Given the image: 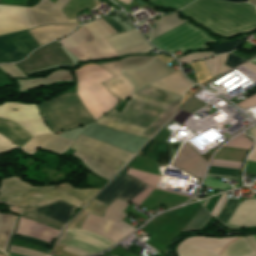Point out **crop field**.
<instances>
[{
	"label": "crop field",
	"mask_w": 256,
	"mask_h": 256,
	"mask_svg": "<svg viewBox=\"0 0 256 256\" xmlns=\"http://www.w3.org/2000/svg\"><path fill=\"white\" fill-rule=\"evenodd\" d=\"M78 79L77 93L95 118L113 108L119 100L100 83L113 77L98 66H88L75 72ZM77 93H68L36 105L52 131L70 129L94 121Z\"/></svg>",
	"instance_id": "crop-field-1"
},
{
	"label": "crop field",
	"mask_w": 256,
	"mask_h": 256,
	"mask_svg": "<svg viewBox=\"0 0 256 256\" xmlns=\"http://www.w3.org/2000/svg\"><path fill=\"white\" fill-rule=\"evenodd\" d=\"M180 11L213 31L227 36L256 29V9L249 4L196 0Z\"/></svg>",
	"instance_id": "crop-field-2"
},
{
	"label": "crop field",
	"mask_w": 256,
	"mask_h": 256,
	"mask_svg": "<svg viewBox=\"0 0 256 256\" xmlns=\"http://www.w3.org/2000/svg\"><path fill=\"white\" fill-rule=\"evenodd\" d=\"M198 203V202H197ZM192 204L187 207H182L178 208L173 211L166 212L162 215L157 216L154 218L152 221H150L145 227H143L141 230L147 232L151 236L157 232L163 225H165L172 217H174L180 210V211L174 218H172L165 226H163L157 233H155L146 243L154 246L158 250L161 248L162 244L164 241L168 238L169 235L172 234L174 230L177 229V227L180 225V223L183 221V219L188 215V213L195 207L197 204ZM200 204L198 203L196 207L189 213V215L185 218V220L182 222V224L179 226V228L173 232L171 236L165 241L163 244L162 249L164 246L167 244L170 238L180 229V227L185 223V221L191 216V214L197 209V207ZM202 206L200 205L198 209L192 214V216L187 220V222L182 226V228L173 236L172 239L168 242L166 247L163 250L164 251L167 249L169 246L170 242L177 236L178 233L182 231V229L185 227V225L188 223V221L193 217V215L201 208ZM211 217V215L202 207L195 215L194 217L190 220V222L187 224V226L184 228L183 231H189V230H195V229H200L205 222Z\"/></svg>",
	"instance_id": "crop-field-3"
},
{
	"label": "crop field",
	"mask_w": 256,
	"mask_h": 256,
	"mask_svg": "<svg viewBox=\"0 0 256 256\" xmlns=\"http://www.w3.org/2000/svg\"><path fill=\"white\" fill-rule=\"evenodd\" d=\"M55 200H62L77 207L83 203L61 190L34 187L15 176L0 180V204L18 207L39 206Z\"/></svg>",
	"instance_id": "crop-field-4"
},
{
	"label": "crop field",
	"mask_w": 256,
	"mask_h": 256,
	"mask_svg": "<svg viewBox=\"0 0 256 256\" xmlns=\"http://www.w3.org/2000/svg\"><path fill=\"white\" fill-rule=\"evenodd\" d=\"M109 35L99 22L95 20L89 24L82 25L76 32L59 42L80 61L107 58L117 56L103 38Z\"/></svg>",
	"instance_id": "crop-field-5"
},
{
	"label": "crop field",
	"mask_w": 256,
	"mask_h": 256,
	"mask_svg": "<svg viewBox=\"0 0 256 256\" xmlns=\"http://www.w3.org/2000/svg\"><path fill=\"white\" fill-rule=\"evenodd\" d=\"M181 99L168 104L164 109L130 99L119 114L113 110L107 118L146 128L142 136L150 138L175 112Z\"/></svg>",
	"instance_id": "crop-field-6"
},
{
	"label": "crop field",
	"mask_w": 256,
	"mask_h": 256,
	"mask_svg": "<svg viewBox=\"0 0 256 256\" xmlns=\"http://www.w3.org/2000/svg\"><path fill=\"white\" fill-rule=\"evenodd\" d=\"M129 202L116 200L105 211L103 218L89 213L81 229L105 237L113 242H118L135 228L120 221L127 215L122 211Z\"/></svg>",
	"instance_id": "crop-field-7"
},
{
	"label": "crop field",
	"mask_w": 256,
	"mask_h": 256,
	"mask_svg": "<svg viewBox=\"0 0 256 256\" xmlns=\"http://www.w3.org/2000/svg\"><path fill=\"white\" fill-rule=\"evenodd\" d=\"M150 42L169 53H174L179 49L184 52L208 48L206 43L214 42V40L190 24L184 23Z\"/></svg>",
	"instance_id": "crop-field-8"
},
{
	"label": "crop field",
	"mask_w": 256,
	"mask_h": 256,
	"mask_svg": "<svg viewBox=\"0 0 256 256\" xmlns=\"http://www.w3.org/2000/svg\"><path fill=\"white\" fill-rule=\"evenodd\" d=\"M8 108L18 110L11 111ZM0 118L16 122L32 136L49 132L35 105L3 104L0 107Z\"/></svg>",
	"instance_id": "crop-field-9"
},
{
	"label": "crop field",
	"mask_w": 256,
	"mask_h": 256,
	"mask_svg": "<svg viewBox=\"0 0 256 256\" xmlns=\"http://www.w3.org/2000/svg\"><path fill=\"white\" fill-rule=\"evenodd\" d=\"M62 64L71 65V61L56 41L37 49L25 60L17 63L22 72L26 74Z\"/></svg>",
	"instance_id": "crop-field-10"
},
{
	"label": "crop field",
	"mask_w": 256,
	"mask_h": 256,
	"mask_svg": "<svg viewBox=\"0 0 256 256\" xmlns=\"http://www.w3.org/2000/svg\"><path fill=\"white\" fill-rule=\"evenodd\" d=\"M38 47L27 31L0 37V63L18 62Z\"/></svg>",
	"instance_id": "crop-field-11"
},
{
	"label": "crop field",
	"mask_w": 256,
	"mask_h": 256,
	"mask_svg": "<svg viewBox=\"0 0 256 256\" xmlns=\"http://www.w3.org/2000/svg\"><path fill=\"white\" fill-rule=\"evenodd\" d=\"M147 187L149 186L137 178L119 173L116 178L99 193L97 199L108 205L118 197L131 200Z\"/></svg>",
	"instance_id": "crop-field-12"
},
{
	"label": "crop field",
	"mask_w": 256,
	"mask_h": 256,
	"mask_svg": "<svg viewBox=\"0 0 256 256\" xmlns=\"http://www.w3.org/2000/svg\"><path fill=\"white\" fill-rule=\"evenodd\" d=\"M70 0H48L41 2L27 10V17L33 28L49 23H77L76 19L68 20L61 11Z\"/></svg>",
	"instance_id": "crop-field-13"
},
{
	"label": "crop field",
	"mask_w": 256,
	"mask_h": 256,
	"mask_svg": "<svg viewBox=\"0 0 256 256\" xmlns=\"http://www.w3.org/2000/svg\"><path fill=\"white\" fill-rule=\"evenodd\" d=\"M113 244L100 236L76 229H65L56 242V245L77 247L90 254L103 251Z\"/></svg>",
	"instance_id": "crop-field-14"
},
{
	"label": "crop field",
	"mask_w": 256,
	"mask_h": 256,
	"mask_svg": "<svg viewBox=\"0 0 256 256\" xmlns=\"http://www.w3.org/2000/svg\"><path fill=\"white\" fill-rule=\"evenodd\" d=\"M236 237L229 238H205L200 236H193L181 242V244H185L191 247H195L201 250H205L211 253L220 254L222 248L231 240ZM179 244L177 247L178 256H218L208 252H204L198 249H194L188 246H184ZM224 249V248H223Z\"/></svg>",
	"instance_id": "crop-field-15"
},
{
	"label": "crop field",
	"mask_w": 256,
	"mask_h": 256,
	"mask_svg": "<svg viewBox=\"0 0 256 256\" xmlns=\"http://www.w3.org/2000/svg\"><path fill=\"white\" fill-rule=\"evenodd\" d=\"M105 39L119 56L132 53H148L153 49L139 35L136 29L112 35Z\"/></svg>",
	"instance_id": "crop-field-16"
},
{
	"label": "crop field",
	"mask_w": 256,
	"mask_h": 256,
	"mask_svg": "<svg viewBox=\"0 0 256 256\" xmlns=\"http://www.w3.org/2000/svg\"><path fill=\"white\" fill-rule=\"evenodd\" d=\"M122 72L132 81L138 91L148 83L172 73L174 70L155 57L149 65L143 68Z\"/></svg>",
	"instance_id": "crop-field-17"
},
{
	"label": "crop field",
	"mask_w": 256,
	"mask_h": 256,
	"mask_svg": "<svg viewBox=\"0 0 256 256\" xmlns=\"http://www.w3.org/2000/svg\"><path fill=\"white\" fill-rule=\"evenodd\" d=\"M98 65L115 76L114 78L102 83L114 97L124 100L133 94V84L120 72V70H123L120 61L101 63Z\"/></svg>",
	"instance_id": "crop-field-18"
},
{
	"label": "crop field",
	"mask_w": 256,
	"mask_h": 256,
	"mask_svg": "<svg viewBox=\"0 0 256 256\" xmlns=\"http://www.w3.org/2000/svg\"><path fill=\"white\" fill-rule=\"evenodd\" d=\"M26 7L0 5V35L31 29Z\"/></svg>",
	"instance_id": "crop-field-19"
},
{
	"label": "crop field",
	"mask_w": 256,
	"mask_h": 256,
	"mask_svg": "<svg viewBox=\"0 0 256 256\" xmlns=\"http://www.w3.org/2000/svg\"><path fill=\"white\" fill-rule=\"evenodd\" d=\"M73 143L69 139L62 138L51 132L32 137L20 150L33 153L38 148L63 153Z\"/></svg>",
	"instance_id": "crop-field-20"
},
{
	"label": "crop field",
	"mask_w": 256,
	"mask_h": 256,
	"mask_svg": "<svg viewBox=\"0 0 256 256\" xmlns=\"http://www.w3.org/2000/svg\"><path fill=\"white\" fill-rule=\"evenodd\" d=\"M59 231L50 227L44 226L40 223L30 221L25 218H19L16 233L18 235L33 236L35 238L44 240L48 243L57 235Z\"/></svg>",
	"instance_id": "crop-field-21"
},
{
	"label": "crop field",
	"mask_w": 256,
	"mask_h": 256,
	"mask_svg": "<svg viewBox=\"0 0 256 256\" xmlns=\"http://www.w3.org/2000/svg\"><path fill=\"white\" fill-rule=\"evenodd\" d=\"M16 218H17V216H13V215H9V214H0V246L5 250H7L13 230L15 228ZM17 220H18V218H17ZM12 238L36 243L37 245H39L40 247L45 248V249H48V245H49L45 242L27 238V237H23V236L13 235Z\"/></svg>",
	"instance_id": "crop-field-22"
},
{
	"label": "crop field",
	"mask_w": 256,
	"mask_h": 256,
	"mask_svg": "<svg viewBox=\"0 0 256 256\" xmlns=\"http://www.w3.org/2000/svg\"><path fill=\"white\" fill-rule=\"evenodd\" d=\"M149 85L183 97L184 93L193 85L180 72L169 74Z\"/></svg>",
	"instance_id": "crop-field-23"
},
{
	"label": "crop field",
	"mask_w": 256,
	"mask_h": 256,
	"mask_svg": "<svg viewBox=\"0 0 256 256\" xmlns=\"http://www.w3.org/2000/svg\"><path fill=\"white\" fill-rule=\"evenodd\" d=\"M229 224L242 228L256 226V200H244L233 213Z\"/></svg>",
	"instance_id": "crop-field-24"
},
{
	"label": "crop field",
	"mask_w": 256,
	"mask_h": 256,
	"mask_svg": "<svg viewBox=\"0 0 256 256\" xmlns=\"http://www.w3.org/2000/svg\"><path fill=\"white\" fill-rule=\"evenodd\" d=\"M78 25H51L45 26L28 32L38 42L40 46L58 39L70 31H72Z\"/></svg>",
	"instance_id": "crop-field-25"
},
{
	"label": "crop field",
	"mask_w": 256,
	"mask_h": 256,
	"mask_svg": "<svg viewBox=\"0 0 256 256\" xmlns=\"http://www.w3.org/2000/svg\"><path fill=\"white\" fill-rule=\"evenodd\" d=\"M74 209L61 201H56L46 206L36 207L34 212L66 223Z\"/></svg>",
	"instance_id": "crop-field-26"
},
{
	"label": "crop field",
	"mask_w": 256,
	"mask_h": 256,
	"mask_svg": "<svg viewBox=\"0 0 256 256\" xmlns=\"http://www.w3.org/2000/svg\"><path fill=\"white\" fill-rule=\"evenodd\" d=\"M0 133L20 148L32 137L17 124L2 119H0Z\"/></svg>",
	"instance_id": "crop-field-27"
},
{
	"label": "crop field",
	"mask_w": 256,
	"mask_h": 256,
	"mask_svg": "<svg viewBox=\"0 0 256 256\" xmlns=\"http://www.w3.org/2000/svg\"><path fill=\"white\" fill-rule=\"evenodd\" d=\"M76 142L87 145V146H89L91 148H94L96 150L102 151V152H104V153H106V154L124 162V163H126L129 160V158L132 156V154L123 152V151H121L119 149H116L112 146H109L107 144L95 141L93 139H90V138L82 136V135H80L78 137Z\"/></svg>",
	"instance_id": "crop-field-28"
},
{
	"label": "crop field",
	"mask_w": 256,
	"mask_h": 256,
	"mask_svg": "<svg viewBox=\"0 0 256 256\" xmlns=\"http://www.w3.org/2000/svg\"><path fill=\"white\" fill-rule=\"evenodd\" d=\"M144 158L152 160L161 166L169 164V144L153 140Z\"/></svg>",
	"instance_id": "crop-field-29"
},
{
	"label": "crop field",
	"mask_w": 256,
	"mask_h": 256,
	"mask_svg": "<svg viewBox=\"0 0 256 256\" xmlns=\"http://www.w3.org/2000/svg\"><path fill=\"white\" fill-rule=\"evenodd\" d=\"M63 80H73L72 75L68 71H56L51 73L45 79H35L30 81H17L20 86V91L27 90L33 87L41 86L48 83L63 81Z\"/></svg>",
	"instance_id": "crop-field-30"
},
{
	"label": "crop field",
	"mask_w": 256,
	"mask_h": 256,
	"mask_svg": "<svg viewBox=\"0 0 256 256\" xmlns=\"http://www.w3.org/2000/svg\"><path fill=\"white\" fill-rule=\"evenodd\" d=\"M71 148L93 158V159H96L112 168H115V169H119L120 167H122L124 165V163L114 159V158H111L101 152H98L94 149H91V148H88V147H85L81 144H78L76 142L73 143V145L71 146Z\"/></svg>",
	"instance_id": "crop-field-31"
},
{
	"label": "crop field",
	"mask_w": 256,
	"mask_h": 256,
	"mask_svg": "<svg viewBox=\"0 0 256 256\" xmlns=\"http://www.w3.org/2000/svg\"><path fill=\"white\" fill-rule=\"evenodd\" d=\"M225 196H226V194H222L221 195L220 199L218 200L217 204L215 205V207L213 208V210L211 212V214L213 216H216V218H217V216L219 215L220 211L222 210V208L224 207L225 203L228 200V199H225ZM207 201H208V199L205 200L202 203V205L204 206ZM237 203H238L237 200L229 199L217 219L226 223L227 219L231 215V213L234 210V208L236 207Z\"/></svg>",
	"instance_id": "crop-field-32"
},
{
	"label": "crop field",
	"mask_w": 256,
	"mask_h": 256,
	"mask_svg": "<svg viewBox=\"0 0 256 256\" xmlns=\"http://www.w3.org/2000/svg\"><path fill=\"white\" fill-rule=\"evenodd\" d=\"M253 254H256L255 251L245 237H243L230 243L222 256H250Z\"/></svg>",
	"instance_id": "crop-field-33"
},
{
	"label": "crop field",
	"mask_w": 256,
	"mask_h": 256,
	"mask_svg": "<svg viewBox=\"0 0 256 256\" xmlns=\"http://www.w3.org/2000/svg\"><path fill=\"white\" fill-rule=\"evenodd\" d=\"M159 18L161 19L157 21V27L152 30L149 41L185 22L178 20L176 13Z\"/></svg>",
	"instance_id": "crop-field-34"
},
{
	"label": "crop field",
	"mask_w": 256,
	"mask_h": 256,
	"mask_svg": "<svg viewBox=\"0 0 256 256\" xmlns=\"http://www.w3.org/2000/svg\"><path fill=\"white\" fill-rule=\"evenodd\" d=\"M73 155L77 156L78 158H80L84 165L86 167H88L91 171H93L95 174L109 180L112 175L116 172V170L110 168V167H107L101 163H98L84 155H82L81 153L79 152H75Z\"/></svg>",
	"instance_id": "crop-field-35"
},
{
	"label": "crop field",
	"mask_w": 256,
	"mask_h": 256,
	"mask_svg": "<svg viewBox=\"0 0 256 256\" xmlns=\"http://www.w3.org/2000/svg\"><path fill=\"white\" fill-rule=\"evenodd\" d=\"M242 163L228 162L213 159L211 165L241 169ZM210 166L207 173L221 175H238L240 170Z\"/></svg>",
	"instance_id": "crop-field-36"
},
{
	"label": "crop field",
	"mask_w": 256,
	"mask_h": 256,
	"mask_svg": "<svg viewBox=\"0 0 256 256\" xmlns=\"http://www.w3.org/2000/svg\"><path fill=\"white\" fill-rule=\"evenodd\" d=\"M34 208L35 207L19 208L20 215L24 216L26 218L35 220V221H39V222L45 223V224H47V225H49L51 227H54V228H57V229H60V230L62 229L64 224L32 212Z\"/></svg>",
	"instance_id": "crop-field-37"
},
{
	"label": "crop field",
	"mask_w": 256,
	"mask_h": 256,
	"mask_svg": "<svg viewBox=\"0 0 256 256\" xmlns=\"http://www.w3.org/2000/svg\"><path fill=\"white\" fill-rule=\"evenodd\" d=\"M95 123H99V124H102L106 127L116 129V130H120V131H124V132H128V133H132V134H135V135H138V136H140V134L144 130L143 128L127 125V124H124V123H119V122L112 121L110 119H106V118H103V117L100 118Z\"/></svg>",
	"instance_id": "crop-field-38"
},
{
	"label": "crop field",
	"mask_w": 256,
	"mask_h": 256,
	"mask_svg": "<svg viewBox=\"0 0 256 256\" xmlns=\"http://www.w3.org/2000/svg\"><path fill=\"white\" fill-rule=\"evenodd\" d=\"M227 56H228V54L213 57V58H210V59L204 61L212 77L231 69L224 65V63L227 59Z\"/></svg>",
	"instance_id": "crop-field-39"
},
{
	"label": "crop field",
	"mask_w": 256,
	"mask_h": 256,
	"mask_svg": "<svg viewBox=\"0 0 256 256\" xmlns=\"http://www.w3.org/2000/svg\"><path fill=\"white\" fill-rule=\"evenodd\" d=\"M136 94L156 98V99H159V100L167 102V103H170L172 101H175V100L181 98V97L158 90V89L150 87V86L143 88L142 90L138 91Z\"/></svg>",
	"instance_id": "crop-field-40"
},
{
	"label": "crop field",
	"mask_w": 256,
	"mask_h": 256,
	"mask_svg": "<svg viewBox=\"0 0 256 256\" xmlns=\"http://www.w3.org/2000/svg\"><path fill=\"white\" fill-rule=\"evenodd\" d=\"M154 57V56H153ZM153 57L138 56V57H127L121 60L124 69L135 68L145 66Z\"/></svg>",
	"instance_id": "crop-field-41"
},
{
	"label": "crop field",
	"mask_w": 256,
	"mask_h": 256,
	"mask_svg": "<svg viewBox=\"0 0 256 256\" xmlns=\"http://www.w3.org/2000/svg\"><path fill=\"white\" fill-rule=\"evenodd\" d=\"M191 66L195 73L197 83L201 84V83L205 82L206 80L210 79L203 61L195 63V64H191Z\"/></svg>",
	"instance_id": "crop-field-42"
},
{
	"label": "crop field",
	"mask_w": 256,
	"mask_h": 256,
	"mask_svg": "<svg viewBox=\"0 0 256 256\" xmlns=\"http://www.w3.org/2000/svg\"><path fill=\"white\" fill-rule=\"evenodd\" d=\"M241 43V39H237L233 42H226L223 44H217V45H211L212 50L214 53L218 54V53H223V52H230L234 49H237L238 46Z\"/></svg>",
	"instance_id": "crop-field-43"
},
{
	"label": "crop field",
	"mask_w": 256,
	"mask_h": 256,
	"mask_svg": "<svg viewBox=\"0 0 256 256\" xmlns=\"http://www.w3.org/2000/svg\"><path fill=\"white\" fill-rule=\"evenodd\" d=\"M156 4L167 6L178 10L179 8L191 3L194 0H150Z\"/></svg>",
	"instance_id": "crop-field-44"
},
{
	"label": "crop field",
	"mask_w": 256,
	"mask_h": 256,
	"mask_svg": "<svg viewBox=\"0 0 256 256\" xmlns=\"http://www.w3.org/2000/svg\"><path fill=\"white\" fill-rule=\"evenodd\" d=\"M213 55H215V54L212 51L194 53V54H191V55H188V56L178 58V61L180 62V64H185V63L190 62V61L211 57Z\"/></svg>",
	"instance_id": "crop-field-45"
},
{
	"label": "crop field",
	"mask_w": 256,
	"mask_h": 256,
	"mask_svg": "<svg viewBox=\"0 0 256 256\" xmlns=\"http://www.w3.org/2000/svg\"><path fill=\"white\" fill-rule=\"evenodd\" d=\"M202 185L224 190V191L232 189L230 186L216 180L215 178H205Z\"/></svg>",
	"instance_id": "crop-field-46"
},
{
	"label": "crop field",
	"mask_w": 256,
	"mask_h": 256,
	"mask_svg": "<svg viewBox=\"0 0 256 256\" xmlns=\"http://www.w3.org/2000/svg\"><path fill=\"white\" fill-rule=\"evenodd\" d=\"M8 252L15 253V254H21V255H25V256H48L46 254H42V253H39L36 251H32V250L17 247V246H10Z\"/></svg>",
	"instance_id": "crop-field-47"
},
{
	"label": "crop field",
	"mask_w": 256,
	"mask_h": 256,
	"mask_svg": "<svg viewBox=\"0 0 256 256\" xmlns=\"http://www.w3.org/2000/svg\"><path fill=\"white\" fill-rule=\"evenodd\" d=\"M0 68L10 77H26L14 64L0 65Z\"/></svg>",
	"instance_id": "crop-field-48"
},
{
	"label": "crop field",
	"mask_w": 256,
	"mask_h": 256,
	"mask_svg": "<svg viewBox=\"0 0 256 256\" xmlns=\"http://www.w3.org/2000/svg\"><path fill=\"white\" fill-rule=\"evenodd\" d=\"M205 104L195 100V99H191L183 108L182 110H185L187 112L193 113L194 111L204 107Z\"/></svg>",
	"instance_id": "crop-field-49"
},
{
	"label": "crop field",
	"mask_w": 256,
	"mask_h": 256,
	"mask_svg": "<svg viewBox=\"0 0 256 256\" xmlns=\"http://www.w3.org/2000/svg\"><path fill=\"white\" fill-rule=\"evenodd\" d=\"M133 99H137V100H140V101L152 104V105H156V106H159V107H162V108H164L167 105V103L161 102L159 100L146 98V97L136 95V94H134Z\"/></svg>",
	"instance_id": "crop-field-50"
},
{
	"label": "crop field",
	"mask_w": 256,
	"mask_h": 256,
	"mask_svg": "<svg viewBox=\"0 0 256 256\" xmlns=\"http://www.w3.org/2000/svg\"><path fill=\"white\" fill-rule=\"evenodd\" d=\"M255 104H256V94L247 98V99H245V100H243V101H241V102H239V103H237V105L239 107H241L242 109L253 106Z\"/></svg>",
	"instance_id": "crop-field-51"
},
{
	"label": "crop field",
	"mask_w": 256,
	"mask_h": 256,
	"mask_svg": "<svg viewBox=\"0 0 256 256\" xmlns=\"http://www.w3.org/2000/svg\"><path fill=\"white\" fill-rule=\"evenodd\" d=\"M16 147L12 142L0 134V151Z\"/></svg>",
	"instance_id": "crop-field-52"
},
{
	"label": "crop field",
	"mask_w": 256,
	"mask_h": 256,
	"mask_svg": "<svg viewBox=\"0 0 256 256\" xmlns=\"http://www.w3.org/2000/svg\"><path fill=\"white\" fill-rule=\"evenodd\" d=\"M242 62H244V60L230 54L225 64L233 68Z\"/></svg>",
	"instance_id": "crop-field-53"
},
{
	"label": "crop field",
	"mask_w": 256,
	"mask_h": 256,
	"mask_svg": "<svg viewBox=\"0 0 256 256\" xmlns=\"http://www.w3.org/2000/svg\"><path fill=\"white\" fill-rule=\"evenodd\" d=\"M249 135H251L256 143V128H252L247 131ZM248 160L250 161H256V147L253 149V151L250 153Z\"/></svg>",
	"instance_id": "crop-field-54"
},
{
	"label": "crop field",
	"mask_w": 256,
	"mask_h": 256,
	"mask_svg": "<svg viewBox=\"0 0 256 256\" xmlns=\"http://www.w3.org/2000/svg\"><path fill=\"white\" fill-rule=\"evenodd\" d=\"M62 250L69 251V252H71L75 255H78V256H87V255H89V254H87V253H85V252H83L79 249L68 247V246L64 247Z\"/></svg>",
	"instance_id": "crop-field-55"
},
{
	"label": "crop field",
	"mask_w": 256,
	"mask_h": 256,
	"mask_svg": "<svg viewBox=\"0 0 256 256\" xmlns=\"http://www.w3.org/2000/svg\"><path fill=\"white\" fill-rule=\"evenodd\" d=\"M116 31L117 33L124 31L122 27H120L111 17L105 19Z\"/></svg>",
	"instance_id": "crop-field-56"
},
{
	"label": "crop field",
	"mask_w": 256,
	"mask_h": 256,
	"mask_svg": "<svg viewBox=\"0 0 256 256\" xmlns=\"http://www.w3.org/2000/svg\"><path fill=\"white\" fill-rule=\"evenodd\" d=\"M100 24L110 33V34H114L116 33L115 30L113 28H111L104 20H102L101 18L97 19Z\"/></svg>",
	"instance_id": "crop-field-57"
},
{
	"label": "crop field",
	"mask_w": 256,
	"mask_h": 256,
	"mask_svg": "<svg viewBox=\"0 0 256 256\" xmlns=\"http://www.w3.org/2000/svg\"><path fill=\"white\" fill-rule=\"evenodd\" d=\"M247 240L250 242L254 250L256 251V239L254 236H246Z\"/></svg>",
	"instance_id": "crop-field-58"
},
{
	"label": "crop field",
	"mask_w": 256,
	"mask_h": 256,
	"mask_svg": "<svg viewBox=\"0 0 256 256\" xmlns=\"http://www.w3.org/2000/svg\"><path fill=\"white\" fill-rule=\"evenodd\" d=\"M158 58H159L160 60H162L164 63H167L168 61L171 60V59H169V58H167V57H164V56H162V55L158 56Z\"/></svg>",
	"instance_id": "crop-field-59"
},
{
	"label": "crop field",
	"mask_w": 256,
	"mask_h": 256,
	"mask_svg": "<svg viewBox=\"0 0 256 256\" xmlns=\"http://www.w3.org/2000/svg\"><path fill=\"white\" fill-rule=\"evenodd\" d=\"M119 1H121V2H123V3L128 5L132 0H119Z\"/></svg>",
	"instance_id": "crop-field-60"
},
{
	"label": "crop field",
	"mask_w": 256,
	"mask_h": 256,
	"mask_svg": "<svg viewBox=\"0 0 256 256\" xmlns=\"http://www.w3.org/2000/svg\"><path fill=\"white\" fill-rule=\"evenodd\" d=\"M249 3H251V4L256 6V0H250Z\"/></svg>",
	"instance_id": "crop-field-61"
},
{
	"label": "crop field",
	"mask_w": 256,
	"mask_h": 256,
	"mask_svg": "<svg viewBox=\"0 0 256 256\" xmlns=\"http://www.w3.org/2000/svg\"><path fill=\"white\" fill-rule=\"evenodd\" d=\"M227 1H230V2H239L240 0H227Z\"/></svg>",
	"instance_id": "crop-field-62"
},
{
	"label": "crop field",
	"mask_w": 256,
	"mask_h": 256,
	"mask_svg": "<svg viewBox=\"0 0 256 256\" xmlns=\"http://www.w3.org/2000/svg\"><path fill=\"white\" fill-rule=\"evenodd\" d=\"M250 62L255 63L256 64V58H254L253 60H251Z\"/></svg>",
	"instance_id": "crop-field-63"
},
{
	"label": "crop field",
	"mask_w": 256,
	"mask_h": 256,
	"mask_svg": "<svg viewBox=\"0 0 256 256\" xmlns=\"http://www.w3.org/2000/svg\"><path fill=\"white\" fill-rule=\"evenodd\" d=\"M8 254V256H18V255H13V254H9V253H7Z\"/></svg>",
	"instance_id": "crop-field-64"
},
{
	"label": "crop field",
	"mask_w": 256,
	"mask_h": 256,
	"mask_svg": "<svg viewBox=\"0 0 256 256\" xmlns=\"http://www.w3.org/2000/svg\"><path fill=\"white\" fill-rule=\"evenodd\" d=\"M246 1H248V0H242L241 2H246Z\"/></svg>",
	"instance_id": "crop-field-65"
},
{
	"label": "crop field",
	"mask_w": 256,
	"mask_h": 256,
	"mask_svg": "<svg viewBox=\"0 0 256 256\" xmlns=\"http://www.w3.org/2000/svg\"><path fill=\"white\" fill-rule=\"evenodd\" d=\"M255 237H256V235H255Z\"/></svg>",
	"instance_id": "crop-field-66"
},
{
	"label": "crop field",
	"mask_w": 256,
	"mask_h": 256,
	"mask_svg": "<svg viewBox=\"0 0 256 256\" xmlns=\"http://www.w3.org/2000/svg\"><path fill=\"white\" fill-rule=\"evenodd\" d=\"M0 256H2V255H0Z\"/></svg>",
	"instance_id": "crop-field-67"
},
{
	"label": "crop field",
	"mask_w": 256,
	"mask_h": 256,
	"mask_svg": "<svg viewBox=\"0 0 256 256\" xmlns=\"http://www.w3.org/2000/svg\"><path fill=\"white\" fill-rule=\"evenodd\" d=\"M101 256V255H100Z\"/></svg>",
	"instance_id": "crop-field-68"
}]
</instances>
